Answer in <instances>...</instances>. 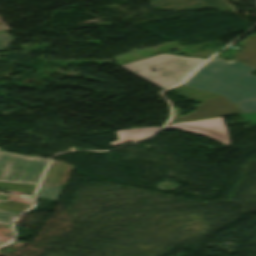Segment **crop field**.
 Segmentation results:
<instances>
[{
	"mask_svg": "<svg viewBox=\"0 0 256 256\" xmlns=\"http://www.w3.org/2000/svg\"><path fill=\"white\" fill-rule=\"evenodd\" d=\"M255 68L237 61L210 60L183 85L220 94L235 104L256 99Z\"/></svg>",
	"mask_w": 256,
	"mask_h": 256,
	"instance_id": "obj_1",
	"label": "crop field"
},
{
	"mask_svg": "<svg viewBox=\"0 0 256 256\" xmlns=\"http://www.w3.org/2000/svg\"><path fill=\"white\" fill-rule=\"evenodd\" d=\"M204 61L161 53L120 66L164 89L183 81Z\"/></svg>",
	"mask_w": 256,
	"mask_h": 256,
	"instance_id": "obj_2",
	"label": "crop field"
},
{
	"mask_svg": "<svg viewBox=\"0 0 256 256\" xmlns=\"http://www.w3.org/2000/svg\"><path fill=\"white\" fill-rule=\"evenodd\" d=\"M47 161L0 151V188L33 194Z\"/></svg>",
	"mask_w": 256,
	"mask_h": 256,
	"instance_id": "obj_3",
	"label": "crop field"
},
{
	"mask_svg": "<svg viewBox=\"0 0 256 256\" xmlns=\"http://www.w3.org/2000/svg\"><path fill=\"white\" fill-rule=\"evenodd\" d=\"M221 109L222 111H220ZM238 113L241 112L234 103L218 95L210 100L196 105V111L182 118H180V108H173V120L171 122H181Z\"/></svg>",
	"mask_w": 256,
	"mask_h": 256,
	"instance_id": "obj_4",
	"label": "crop field"
},
{
	"mask_svg": "<svg viewBox=\"0 0 256 256\" xmlns=\"http://www.w3.org/2000/svg\"><path fill=\"white\" fill-rule=\"evenodd\" d=\"M164 129H179L196 135L208 137L222 143L225 146L229 145L225 124L222 117L171 124Z\"/></svg>",
	"mask_w": 256,
	"mask_h": 256,
	"instance_id": "obj_5",
	"label": "crop field"
},
{
	"mask_svg": "<svg viewBox=\"0 0 256 256\" xmlns=\"http://www.w3.org/2000/svg\"><path fill=\"white\" fill-rule=\"evenodd\" d=\"M73 168V166L68 164L51 161L41 185L56 186L58 184H66Z\"/></svg>",
	"mask_w": 256,
	"mask_h": 256,
	"instance_id": "obj_6",
	"label": "crop field"
},
{
	"mask_svg": "<svg viewBox=\"0 0 256 256\" xmlns=\"http://www.w3.org/2000/svg\"><path fill=\"white\" fill-rule=\"evenodd\" d=\"M160 127H148V128H130L128 130L116 131L118 140L110 142L111 147H116L125 144L129 141H137L146 138L156 132Z\"/></svg>",
	"mask_w": 256,
	"mask_h": 256,
	"instance_id": "obj_7",
	"label": "crop field"
},
{
	"mask_svg": "<svg viewBox=\"0 0 256 256\" xmlns=\"http://www.w3.org/2000/svg\"><path fill=\"white\" fill-rule=\"evenodd\" d=\"M238 45L244 49L233 57L244 61L249 66L256 67V34L240 41Z\"/></svg>",
	"mask_w": 256,
	"mask_h": 256,
	"instance_id": "obj_8",
	"label": "crop field"
},
{
	"mask_svg": "<svg viewBox=\"0 0 256 256\" xmlns=\"http://www.w3.org/2000/svg\"><path fill=\"white\" fill-rule=\"evenodd\" d=\"M28 207L30 206L16 204L6 200L0 202V223L10 226L14 217Z\"/></svg>",
	"mask_w": 256,
	"mask_h": 256,
	"instance_id": "obj_9",
	"label": "crop field"
},
{
	"mask_svg": "<svg viewBox=\"0 0 256 256\" xmlns=\"http://www.w3.org/2000/svg\"><path fill=\"white\" fill-rule=\"evenodd\" d=\"M63 188H51L40 186L38 188L36 198H45L49 200H56L60 196Z\"/></svg>",
	"mask_w": 256,
	"mask_h": 256,
	"instance_id": "obj_10",
	"label": "crop field"
},
{
	"mask_svg": "<svg viewBox=\"0 0 256 256\" xmlns=\"http://www.w3.org/2000/svg\"><path fill=\"white\" fill-rule=\"evenodd\" d=\"M242 113L256 111V101H248L241 104H237Z\"/></svg>",
	"mask_w": 256,
	"mask_h": 256,
	"instance_id": "obj_11",
	"label": "crop field"
},
{
	"mask_svg": "<svg viewBox=\"0 0 256 256\" xmlns=\"http://www.w3.org/2000/svg\"><path fill=\"white\" fill-rule=\"evenodd\" d=\"M13 39L10 38L5 33L0 34V51H5L7 45L12 41Z\"/></svg>",
	"mask_w": 256,
	"mask_h": 256,
	"instance_id": "obj_12",
	"label": "crop field"
},
{
	"mask_svg": "<svg viewBox=\"0 0 256 256\" xmlns=\"http://www.w3.org/2000/svg\"><path fill=\"white\" fill-rule=\"evenodd\" d=\"M1 243H4V242H0V244H1Z\"/></svg>",
	"mask_w": 256,
	"mask_h": 256,
	"instance_id": "obj_13",
	"label": "crop field"
}]
</instances>
